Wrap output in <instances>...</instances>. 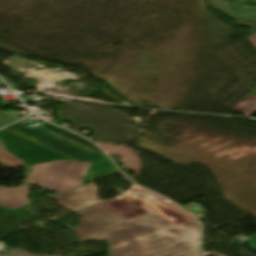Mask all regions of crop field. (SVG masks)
I'll list each match as a JSON object with an SVG mask.
<instances>
[{"instance_id": "crop-field-3", "label": "crop field", "mask_w": 256, "mask_h": 256, "mask_svg": "<svg viewBox=\"0 0 256 256\" xmlns=\"http://www.w3.org/2000/svg\"><path fill=\"white\" fill-rule=\"evenodd\" d=\"M91 163L81 161L59 160L34 165L27 185L36 181L35 185L43 189L66 191L82 185V181Z\"/></svg>"}, {"instance_id": "crop-field-7", "label": "crop field", "mask_w": 256, "mask_h": 256, "mask_svg": "<svg viewBox=\"0 0 256 256\" xmlns=\"http://www.w3.org/2000/svg\"><path fill=\"white\" fill-rule=\"evenodd\" d=\"M256 105V87L246 95L234 108L236 112L243 114Z\"/></svg>"}, {"instance_id": "crop-field-11", "label": "crop field", "mask_w": 256, "mask_h": 256, "mask_svg": "<svg viewBox=\"0 0 256 256\" xmlns=\"http://www.w3.org/2000/svg\"><path fill=\"white\" fill-rule=\"evenodd\" d=\"M247 242H248L250 248H251L254 252H256V235L249 237L248 240H247Z\"/></svg>"}, {"instance_id": "crop-field-5", "label": "crop field", "mask_w": 256, "mask_h": 256, "mask_svg": "<svg viewBox=\"0 0 256 256\" xmlns=\"http://www.w3.org/2000/svg\"><path fill=\"white\" fill-rule=\"evenodd\" d=\"M51 199L57 201V205L69 210L99 201L98 190L95 184H90L75 190H71Z\"/></svg>"}, {"instance_id": "crop-field-8", "label": "crop field", "mask_w": 256, "mask_h": 256, "mask_svg": "<svg viewBox=\"0 0 256 256\" xmlns=\"http://www.w3.org/2000/svg\"><path fill=\"white\" fill-rule=\"evenodd\" d=\"M11 213L19 221L27 220V219H31V218L39 216L38 211L32 205L17 208L15 210L11 211Z\"/></svg>"}, {"instance_id": "crop-field-10", "label": "crop field", "mask_w": 256, "mask_h": 256, "mask_svg": "<svg viewBox=\"0 0 256 256\" xmlns=\"http://www.w3.org/2000/svg\"><path fill=\"white\" fill-rule=\"evenodd\" d=\"M0 256H39V255L29 254L22 250L11 249L7 255H0Z\"/></svg>"}, {"instance_id": "crop-field-6", "label": "crop field", "mask_w": 256, "mask_h": 256, "mask_svg": "<svg viewBox=\"0 0 256 256\" xmlns=\"http://www.w3.org/2000/svg\"><path fill=\"white\" fill-rule=\"evenodd\" d=\"M28 189L26 186H20L15 189H6L0 187V205L13 208L28 203Z\"/></svg>"}, {"instance_id": "crop-field-12", "label": "crop field", "mask_w": 256, "mask_h": 256, "mask_svg": "<svg viewBox=\"0 0 256 256\" xmlns=\"http://www.w3.org/2000/svg\"><path fill=\"white\" fill-rule=\"evenodd\" d=\"M248 40L254 45V47L256 48V35L252 36L250 38H248Z\"/></svg>"}, {"instance_id": "crop-field-1", "label": "crop field", "mask_w": 256, "mask_h": 256, "mask_svg": "<svg viewBox=\"0 0 256 256\" xmlns=\"http://www.w3.org/2000/svg\"><path fill=\"white\" fill-rule=\"evenodd\" d=\"M80 242L108 240L109 256H200L197 222L172 229L150 213L127 220L102 203L73 211Z\"/></svg>"}, {"instance_id": "crop-field-13", "label": "crop field", "mask_w": 256, "mask_h": 256, "mask_svg": "<svg viewBox=\"0 0 256 256\" xmlns=\"http://www.w3.org/2000/svg\"><path fill=\"white\" fill-rule=\"evenodd\" d=\"M256 109V107L255 108H253L251 111H249L247 114H249V113H251L252 111H254Z\"/></svg>"}, {"instance_id": "crop-field-9", "label": "crop field", "mask_w": 256, "mask_h": 256, "mask_svg": "<svg viewBox=\"0 0 256 256\" xmlns=\"http://www.w3.org/2000/svg\"><path fill=\"white\" fill-rule=\"evenodd\" d=\"M15 120H18V119L9 114L0 112V127L4 126L10 122H13Z\"/></svg>"}, {"instance_id": "crop-field-2", "label": "crop field", "mask_w": 256, "mask_h": 256, "mask_svg": "<svg viewBox=\"0 0 256 256\" xmlns=\"http://www.w3.org/2000/svg\"><path fill=\"white\" fill-rule=\"evenodd\" d=\"M4 130L26 137L68 155L75 160L92 161V166L84 180V183L118 173V170L106 156L44 131L40 128L31 130L16 123Z\"/></svg>"}, {"instance_id": "crop-field-14", "label": "crop field", "mask_w": 256, "mask_h": 256, "mask_svg": "<svg viewBox=\"0 0 256 256\" xmlns=\"http://www.w3.org/2000/svg\"><path fill=\"white\" fill-rule=\"evenodd\" d=\"M35 182L32 183V185H34Z\"/></svg>"}, {"instance_id": "crop-field-4", "label": "crop field", "mask_w": 256, "mask_h": 256, "mask_svg": "<svg viewBox=\"0 0 256 256\" xmlns=\"http://www.w3.org/2000/svg\"><path fill=\"white\" fill-rule=\"evenodd\" d=\"M0 139L4 150L20 158L26 166L59 159L72 160L3 130L0 131Z\"/></svg>"}]
</instances>
